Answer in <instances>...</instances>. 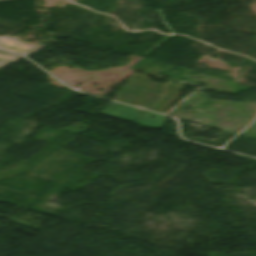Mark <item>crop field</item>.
<instances>
[{
    "mask_svg": "<svg viewBox=\"0 0 256 256\" xmlns=\"http://www.w3.org/2000/svg\"><path fill=\"white\" fill-rule=\"evenodd\" d=\"M120 109V110H118ZM144 110L136 109L133 107L125 106L122 104L114 103L107 108H105L103 111H101L99 114H103L106 116L114 117L117 119L125 120L131 122L134 120L137 116H139Z\"/></svg>",
    "mask_w": 256,
    "mask_h": 256,
    "instance_id": "1",
    "label": "crop field"
},
{
    "mask_svg": "<svg viewBox=\"0 0 256 256\" xmlns=\"http://www.w3.org/2000/svg\"><path fill=\"white\" fill-rule=\"evenodd\" d=\"M144 114L146 115L144 116ZM151 117H155V118L152 119ZM165 118H166L165 116L146 111L140 117H138L135 121H133V123L160 129Z\"/></svg>",
    "mask_w": 256,
    "mask_h": 256,
    "instance_id": "2",
    "label": "crop field"
},
{
    "mask_svg": "<svg viewBox=\"0 0 256 256\" xmlns=\"http://www.w3.org/2000/svg\"><path fill=\"white\" fill-rule=\"evenodd\" d=\"M13 42H14V40L9 39L6 42H4L3 44H1L0 48H4L9 51L18 52V53H21L23 51H27L28 49H30V48L15 44Z\"/></svg>",
    "mask_w": 256,
    "mask_h": 256,
    "instance_id": "3",
    "label": "crop field"
},
{
    "mask_svg": "<svg viewBox=\"0 0 256 256\" xmlns=\"http://www.w3.org/2000/svg\"><path fill=\"white\" fill-rule=\"evenodd\" d=\"M12 39H13V38H12ZM14 40H16V39H14ZM15 43H18V44H21V45H24V46H27V47L32 48V49L28 50L27 52L22 53V54H24V55H26V54L30 53L31 51H33V50H35V49L41 47V46H38V45H33V44H29V43H25V42L18 41V40H16Z\"/></svg>",
    "mask_w": 256,
    "mask_h": 256,
    "instance_id": "4",
    "label": "crop field"
},
{
    "mask_svg": "<svg viewBox=\"0 0 256 256\" xmlns=\"http://www.w3.org/2000/svg\"><path fill=\"white\" fill-rule=\"evenodd\" d=\"M16 57V55L8 54L0 51V60H12Z\"/></svg>",
    "mask_w": 256,
    "mask_h": 256,
    "instance_id": "5",
    "label": "crop field"
},
{
    "mask_svg": "<svg viewBox=\"0 0 256 256\" xmlns=\"http://www.w3.org/2000/svg\"><path fill=\"white\" fill-rule=\"evenodd\" d=\"M22 57H20V56H18L17 58H15L13 61H11V62H9V61H1L0 62V68L1 67H3V66H6V65H8V64H11V63H13V62H15V61H17V60H19V59H21ZM16 63V62H15Z\"/></svg>",
    "mask_w": 256,
    "mask_h": 256,
    "instance_id": "6",
    "label": "crop field"
},
{
    "mask_svg": "<svg viewBox=\"0 0 256 256\" xmlns=\"http://www.w3.org/2000/svg\"><path fill=\"white\" fill-rule=\"evenodd\" d=\"M9 39L8 37H0V44Z\"/></svg>",
    "mask_w": 256,
    "mask_h": 256,
    "instance_id": "7",
    "label": "crop field"
}]
</instances>
